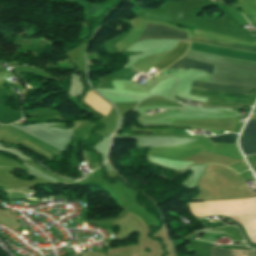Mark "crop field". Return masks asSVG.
I'll return each instance as SVG.
<instances>
[{
    "label": "crop field",
    "instance_id": "crop-field-1",
    "mask_svg": "<svg viewBox=\"0 0 256 256\" xmlns=\"http://www.w3.org/2000/svg\"><path fill=\"white\" fill-rule=\"evenodd\" d=\"M192 41L256 54V45L234 44L195 36ZM184 57L215 65L209 83L256 87V64L254 63L215 57L189 50Z\"/></svg>",
    "mask_w": 256,
    "mask_h": 256
},
{
    "label": "crop field",
    "instance_id": "crop-field-2",
    "mask_svg": "<svg viewBox=\"0 0 256 256\" xmlns=\"http://www.w3.org/2000/svg\"><path fill=\"white\" fill-rule=\"evenodd\" d=\"M194 216L222 214L242 225L251 242L256 243V197L224 202L189 203Z\"/></svg>",
    "mask_w": 256,
    "mask_h": 256
},
{
    "label": "crop field",
    "instance_id": "crop-field-3",
    "mask_svg": "<svg viewBox=\"0 0 256 256\" xmlns=\"http://www.w3.org/2000/svg\"><path fill=\"white\" fill-rule=\"evenodd\" d=\"M192 88L246 94V95H250L253 89V88H245V87L204 84L199 82H193ZM196 89H191V90H196ZM196 91H204V90H196ZM206 92H210V91H206ZM191 94L209 98V100L211 101H219V102H227V103L247 104L249 99V96H246V95L229 94V93H221V92H213V91H211V93L191 91Z\"/></svg>",
    "mask_w": 256,
    "mask_h": 256
},
{
    "label": "crop field",
    "instance_id": "crop-field-4",
    "mask_svg": "<svg viewBox=\"0 0 256 256\" xmlns=\"http://www.w3.org/2000/svg\"><path fill=\"white\" fill-rule=\"evenodd\" d=\"M149 38H170V39H180L185 40V34L175 32L169 28L148 24L146 23L142 35L140 36L139 40H145Z\"/></svg>",
    "mask_w": 256,
    "mask_h": 256
},
{
    "label": "crop field",
    "instance_id": "crop-field-5",
    "mask_svg": "<svg viewBox=\"0 0 256 256\" xmlns=\"http://www.w3.org/2000/svg\"><path fill=\"white\" fill-rule=\"evenodd\" d=\"M256 135V119L248 121L241 136ZM240 147L244 154L256 153V137H240Z\"/></svg>",
    "mask_w": 256,
    "mask_h": 256
},
{
    "label": "crop field",
    "instance_id": "crop-field-6",
    "mask_svg": "<svg viewBox=\"0 0 256 256\" xmlns=\"http://www.w3.org/2000/svg\"><path fill=\"white\" fill-rule=\"evenodd\" d=\"M188 44L178 41L175 48L153 68L164 69L176 62L186 51Z\"/></svg>",
    "mask_w": 256,
    "mask_h": 256
},
{
    "label": "crop field",
    "instance_id": "crop-field-7",
    "mask_svg": "<svg viewBox=\"0 0 256 256\" xmlns=\"http://www.w3.org/2000/svg\"><path fill=\"white\" fill-rule=\"evenodd\" d=\"M196 68L211 73L214 66L182 58L170 68Z\"/></svg>",
    "mask_w": 256,
    "mask_h": 256
},
{
    "label": "crop field",
    "instance_id": "crop-field-8",
    "mask_svg": "<svg viewBox=\"0 0 256 256\" xmlns=\"http://www.w3.org/2000/svg\"><path fill=\"white\" fill-rule=\"evenodd\" d=\"M211 256H253V251L213 248L211 251Z\"/></svg>",
    "mask_w": 256,
    "mask_h": 256
},
{
    "label": "crop field",
    "instance_id": "crop-field-9",
    "mask_svg": "<svg viewBox=\"0 0 256 256\" xmlns=\"http://www.w3.org/2000/svg\"><path fill=\"white\" fill-rule=\"evenodd\" d=\"M235 136L233 134H224L217 137H209L211 142H219V143H234Z\"/></svg>",
    "mask_w": 256,
    "mask_h": 256
},
{
    "label": "crop field",
    "instance_id": "crop-field-10",
    "mask_svg": "<svg viewBox=\"0 0 256 256\" xmlns=\"http://www.w3.org/2000/svg\"><path fill=\"white\" fill-rule=\"evenodd\" d=\"M244 16L246 17L248 22L252 25V27H256V17L245 15V14Z\"/></svg>",
    "mask_w": 256,
    "mask_h": 256
},
{
    "label": "crop field",
    "instance_id": "crop-field-11",
    "mask_svg": "<svg viewBox=\"0 0 256 256\" xmlns=\"http://www.w3.org/2000/svg\"><path fill=\"white\" fill-rule=\"evenodd\" d=\"M253 113H256V107H255V109H254Z\"/></svg>",
    "mask_w": 256,
    "mask_h": 256
}]
</instances>
